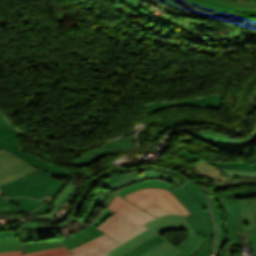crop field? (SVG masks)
<instances>
[{"label":"crop field","instance_id":"crop-field-1","mask_svg":"<svg viewBox=\"0 0 256 256\" xmlns=\"http://www.w3.org/2000/svg\"><path fill=\"white\" fill-rule=\"evenodd\" d=\"M148 169H150V171H148ZM139 170H143L144 174L139 176ZM103 177H108V180L104 182L101 186L104 187L109 192L105 193L101 189L95 192L94 202L92 201V206L82 219V221L84 222L87 221V219L90 217V215L93 213V211L96 209L98 205L107 208L116 195L115 193L111 192L116 191L117 189L125 185L148 178H158L166 180L176 186L190 180L171 169L151 166H140L130 169H124L120 168L119 165H117L114 168L109 169L108 172L100 174L91 180V182L88 185V189L75 204V212H73L72 214L73 217H77L84 203L83 201L93 191V189L97 186V184L101 181Z\"/></svg>","mask_w":256,"mask_h":256},{"label":"crop field","instance_id":"crop-field-2","mask_svg":"<svg viewBox=\"0 0 256 256\" xmlns=\"http://www.w3.org/2000/svg\"><path fill=\"white\" fill-rule=\"evenodd\" d=\"M256 196V189L239 190L224 193L219 197V203L227 212L228 240L233 245H241L244 240L253 242L256 254V201H239L236 198Z\"/></svg>","mask_w":256,"mask_h":256},{"label":"crop field","instance_id":"crop-field-3","mask_svg":"<svg viewBox=\"0 0 256 256\" xmlns=\"http://www.w3.org/2000/svg\"><path fill=\"white\" fill-rule=\"evenodd\" d=\"M108 208L116 212L97 228L120 243L145 229L142 225L154 219L118 196L115 197Z\"/></svg>","mask_w":256,"mask_h":256},{"label":"crop field","instance_id":"crop-field-4","mask_svg":"<svg viewBox=\"0 0 256 256\" xmlns=\"http://www.w3.org/2000/svg\"><path fill=\"white\" fill-rule=\"evenodd\" d=\"M126 199L153 216L167 214L190 215L186 208L169 192L162 189H143L127 195Z\"/></svg>","mask_w":256,"mask_h":256},{"label":"crop field","instance_id":"crop-field-5","mask_svg":"<svg viewBox=\"0 0 256 256\" xmlns=\"http://www.w3.org/2000/svg\"><path fill=\"white\" fill-rule=\"evenodd\" d=\"M15 231L23 245L24 253L64 245L53 226H40L24 222L23 227L17 228Z\"/></svg>","mask_w":256,"mask_h":256},{"label":"crop field","instance_id":"crop-field-6","mask_svg":"<svg viewBox=\"0 0 256 256\" xmlns=\"http://www.w3.org/2000/svg\"><path fill=\"white\" fill-rule=\"evenodd\" d=\"M68 182L59 181L54 178H50L44 182L31 186L29 188L23 189L21 191L6 195L5 197H12V196H28L36 199L43 198L47 195L51 196L48 202L38 209H36L32 213H28L29 215L35 214H45L49 212L52 207H50V203L53 201L55 196L61 191V189L67 184Z\"/></svg>","mask_w":256,"mask_h":256},{"label":"crop field","instance_id":"crop-field-7","mask_svg":"<svg viewBox=\"0 0 256 256\" xmlns=\"http://www.w3.org/2000/svg\"><path fill=\"white\" fill-rule=\"evenodd\" d=\"M169 191L187 208L191 214L209 210L204 192L191 180Z\"/></svg>","mask_w":256,"mask_h":256},{"label":"crop field","instance_id":"crop-field-8","mask_svg":"<svg viewBox=\"0 0 256 256\" xmlns=\"http://www.w3.org/2000/svg\"><path fill=\"white\" fill-rule=\"evenodd\" d=\"M191 6L210 13L251 14L256 12V0L251 4L236 3V0H185Z\"/></svg>","mask_w":256,"mask_h":256},{"label":"crop field","instance_id":"crop-field-9","mask_svg":"<svg viewBox=\"0 0 256 256\" xmlns=\"http://www.w3.org/2000/svg\"><path fill=\"white\" fill-rule=\"evenodd\" d=\"M0 148H3L5 150H8V151L14 153V155L26 160L31 165L47 172L48 174H50L52 176L63 177V178H72L73 177L71 172H67V171L60 169L52 164L45 163L42 160L23 152L18 147L16 141L0 138Z\"/></svg>","mask_w":256,"mask_h":256},{"label":"crop field","instance_id":"crop-field-10","mask_svg":"<svg viewBox=\"0 0 256 256\" xmlns=\"http://www.w3.org/2000/svg\"><path fill=\"white\" fill-rule=\"evenodd\" d=\"M196 233L205 235V243L202 248L193 256H208L212 254L213 227L209 211L186 216ZM185 218V219H186Z\"/></svg>","mask_w":256,"mask_h":256},{"label":"crop field","instance_id":"crop-field-11","mask_svg":"<svg viewBox=\"0 0 256 256\" xmlns=\"http://www.w3.org/2000/svg\"><path fill=\"white\" fill-rule=\"evenodd\" d=\"M117 244L119 243L103 234L70 250V253L73 256H106L104 254Z\"/></svg>","mask_w":256,"mask_h":256},{"label":"crop field","instance_id":"crop-field-12","mask_svg":"<svg viewBox=\"0 0 256 256\" xmlns=\"http://www.w3.org/2000/svg\"><path fill=\"white\" fill-rule=\"evenodd\" d=\"M148 229L155 231L157 233H164L169 230H184L193 232L192 227L189 222L182 215H168L160 218H156L153 221H150L144 224Z\"/></svg>","mask_w":256,"mask_h":256},{"label":"crop field","instance_id":"crop-field-13","mask_svg":"<svg viewBox=\"0 0 256 256\" xmlns=\"http://www.w3.org/2000/svg\"><path fill=\"white\" fill-rule=\"evenodd\" d=\"M32 167L3 149L0 150V180Z\"/></svg>","mask_w":256,"mask_h":256},{"label":"crop field","instance_id":"crop-field-14","mask_svg":"<svg viewBox=\"0 0 256 256\" xmlns=\"http://www.w3.org/2000/svg\"><path fill=\"white\" fill-rule=\"evenodd\" d=\"M192 172L196 175V177H203L205 179L214 181V191L219 190L221 186L226 182L227 176H225L220 170H218L215 166L209 165L203 160L193 164Z\"/></svg>","mask_w":256,"mask_h":256},{"label":"crop field","instance_id":"crop-field-15","mask_svg":"<svg viewBox=\"0 0 256 256\" xmlns=\"http://www.w3.org/2000/svg\"><path fill=\"white\" fill-rule=\"evenodd\" d=\"M50 177H52V176L39 170L34 174H30V175L20 178L16 181H13L6 185L0 186V190L4 195H6L9 193L21 190L23 188H26L28 186L34 185L36 183H39L41 181H44Z\"/></svg>","mask_w":256,"mask_h":256},{"label":"crop field","instance_id":"crop-field-16","mask_svg":"<svg viewBox=\"0 0 256 256\" xmlns=\"http://www.w3.org/2000/svg\"><path fill=\"white\" fill-rule=\"evenodd\" d=\"M47 199L48 198L43 200H32L23 197L7 199L9 202L0 203V212H28L43 204Z\"/></svg>","mask_w":256,"mask_h":256},{"label":"crop field","instance_id":"crop-field-17","mask_svg":"<svg viewBox=\"0 0 256 256\" xmlns=\"http://www.w3.org/2000/svg\"><path fill=\"white\" fill-rule=\"evenodd\" d=\"M158 234L146 229L139 233L138 235L134 236L130 240L123 243L121 246L115 248L114 250L106 253L109 256H123L124 254L128 253L129 251L133 250L134 248L140 246L141 244L145 243L146 241L152 239L153 237L157 236ZM141 241V243H139Z\"/></svg>","mask_w":256,"mask_h":256},{"label":"crop field","instance_id":"crop-field-18","mask_svg":"<svg viewBox=\"0 0 256 256\" xmlns=\"http://www.w3.org/2000/svg\"><path fill=\"white\" fill-rule=\"evenodd\" d=\"M204 236L188 233L185 240L175 246L181 251L172 256H191L195 254L203 245Z\"/></svg>","mask_w":256,"mask_h":256},{"label":"crop field","instance_id":"crop-field-19","mask_svg":"<svg viewBox=\"0 0 256 256\" xmlns=\"http://www.w3.org/2000/svg\"><path fill=\"white\" fill-rule=\"evenodd\" d=\"M77 185L68 183L63 190L56 196L51 206L53 209L45 215H36L35 219H50L56 216V212L61 210L64 204L67 202L71 194L75 191Z\"/></svg>","mask_w":256,"mask_h":256},{"label":"crop field","instance_id":"crop-field-20","mask_svg":"<svg viewBox=\"0 0 256 256\" xmlns=\"http://www.w3.org/2000/svg\"><path fill=\"white\" fill-rule=\"evenodd\" d=\"M103 234L102 232L96 230L95 228L88 227L72 236H69L65 239H63L64 244L67 246L68 250L86 242L89 241L99 235Z\"/></svg>","mask_w":256,"mask_h":256},{"label":"crop field","instance_id":"crop-field-21","mask_svg":"<svg viewBox=\"0 0 256 256\" xmlns=\"http://www.w3.org/2000/svg\"><path fill=\"white\" fill-rule=\"evenodd\" d=\"M197 180H199V179H197ZM199 181L206 185L207 190L209 192V188L207 186V182L206 181H202V180H199ZM209 195H210V192H209ZM210 202H211V205H212L215 217L217 219V224H218V245H217V255H218L220 250H221V248H222V246L225 244L227 238H226V236H225V234L223 232V215H222V212L218 208L216 202L212 199L211 195H210Z\"/></svg>","mask_w":256,"mask_h":256},{"label":"crop field","instance_id":"crop-field-22","mask_svg":"<svg viewBox=\"0 0 256 256\" xmlns=\"http://www.w3.org/2000/svg\"><path fill=\"white\" fill-rule=\"evenodd\" d=\"M54 227L62 239L85 227H88V225L78 219L70 217L69 220L66 221V223Z\"/></svg>","mask_w":256,"mask_h":256},{"label":"crop field","instance_id":"crop-field-23","mask_svg":"<svg viewBox=\"0 0 256 256\" xmlns=\"http://www.w3.org/2000/svg\"><path fill=\"white\" fill-rule=\"evenodd\" d=\"M180 250L176 249L171 243L167 240L160 245L154 247L148 252L142 254L141 256H170Z\"/></svg>","mask_w":256,"mask_h":256},{"label":"crop field","instance_id":"crop-field-24","mask_svg":"<svg viewBox=\"0 0 256 256\" xmlns=\"http://www.w3.org/2000/svg\"><path fill=\"white\" fill-rule=\"evenodd\" d=\"M163 241H165V239L158 235L157 237L146 242L145 244L141 245L140 247L134 249L133 251L129 252L128 254H126L124 256H139L142 253L146 252L147 250L153 248L154 246L158 245L159 243H161Z\"/></svg>","mask_w":256,"mask_h":256},{"label":"crop field","instance_id":"crop-field-25","mask_svg":"<svg viewBox=\"0 0 256 256\" xmlns=\"http://www.w3.org/2000/svg\"><path fill=\"white\" fill-rule=\"evenodd\" d=\"M19 256H71L70 253L67 251L66 247H58L48 250H43L31 254H23Z\"/></svg>","mask_w":256,"mask_h":256},{"label":"crop field","instance_id":"crop-field-26","mask_svg":"<svg viewBox=\"0 0 256 256\" xmlns=\"http://www.w3.org/2000/svg\"><path fill=\"white\" fill-rule=\"evenodd\" d=\"M134 10L138 11V12L141 13L142 15H144V16H146V17H148V18H150V19H152V20H154V21H157V22H159V23H163V24L170 25V24H168L169 21H170V22L172 21L173 23L175 22L174 20L167 19V18H165V17H163V16H159V15H157V14L151 12V9L148 8L147 6H145L144 4L141 5V6H139V7H137V8L134 9ZM172 25H173V24H172ZM172 25H171V26H172Z\"/></svg>","mask_w":256,"mask_h":256},{"label":"crop field","instance_id":"crop-field-27","mask_svg":"<svg viewBox=\"0 0 256 256\" xmlns=\"http://www.w3.org/2000/svg\"><path fill=\"white\" fill-rule=\"evenodd\" d=\"M221 167L228 169H238V170H247V171H256V169L250 164V162H235V163H218L212 162Z\"/></svg>","mask_w":256,"mask_h":256},{"label":"crop field","instance_id":"crop-field-28","mask_svg":"<svg viewBox=\"0 0 256 256\" xmlns=\"http://www.w3.org/2000/svg\"><path fill=\"white\" fill-rule=\"evenodd\" d=\"M22 133L16 131L14 128L0 127V137L16 140L18 145V138Z\"/></svg>","mask_w":256,"mask_h":256},{"label":"crop field","instance_id":"crop-field-29","mask_svg":"<svg viewBox=\"0 0 256 256\" xmlns=\"http://www.w3.org/2000/svg\"><path fill=\"white\" fill-rule=\"evenodd\" d=\"M219 168V167H217ZM224 174L228 177L239 178V176L245 177H256V172H247V171H237V170H227L224 168H219Z\"/></svg>","mask_w":256,"mask_h":256},{"label":"crop field","instance_id":"crop-field-30","mask_svg":"<svg viewBox=\"0 0 256 256\" xmlns=\"http://www.w3.org/2000/svg\"><path fill=\"white\" fill-rule=\"evenodd\" d=\"M37 170H39V169L32 167V168H30V169H28V170H25V171H23V172H21V173H19V174H16V175H14V176H12V177H9V178H7V179L1 180V181H0V185L6 184V183H8V182H11V181H13V180H15V179H18V178H20V177H23V176H25V175H28V174H30V173H33V172H35V171H37Z\"/></svg>","mask_w":256,"mask_h":256},{"label":"crop field","instance_id":"crop-field-31","mask_svg":"<svg viewBox=\"0 0 256 256\" xmlns=\"http://www.w3.org/2000/svg\"><path fill=\"white\" fill-rule=\"evenodd\" d=\"M177 156H179V157H181V158H183V159H185V160H187V161H189L191 163H193L194 161H196L198 159H201L200 157H198V156H196V155H194V154H192V153H190V152H188V151H186L184 149H182L177 154Z\"/></svg>","mask_w":256,"mask_h":256},{"label":"crop field","instance_id":"crop-field-32","mask_svg":"<svg viewBox=\"0 0 256 256\" xmlns=\"http://www.w3.org/2000/svg\"><path fill=\"white\" fill-rule=\"evenodd\" d=\"M113 213L114 211L110 209H105L104 212L99 216V218L94 222L92 226L96 228L99 224H101L105 219H107Z\"/></svg>","mask_w":256,"mask_h":256},{"label":"crop field","instance_id":"crop-field-33","mask_svg":"<svg viewBox=\"0 0 256 256\" xmlns=\"http://www.w3.org/2000/svg\"><path fill=\"white\" fill-rule=\"evenodd\" d=\"M112 1V0H111ZM126 7H128L130 10L136 8L137 6L143 4L139 0H120Z\"/></svg>","mask_w":256,"mask_h":256},{"label":"crop field","instance_id":"crop-field-34","mask_svg":"<svg viewBox=\"0 0 256 256\" xmlns=\"http://www.w3.org/2000/svg\"><path fill=\"white\" fill-rule=\"evenodd\" d=\"M0 244H20L17 237H3L0 238Z\"/></svg>","mask_w":256,"mask_h":256},{"label":"crop field","instance_id":"crop-field-35","mask_svg":"<svg viewBox=\"0 0 256 256\" xmlns=\"http://www.w3.org/2000/svg\"><path fill=\"white\" fill-rule=\"evenodd\" d=\"M11 250H23L21 245H0V252Z\"/></svg>","mask_w":256,"mask_h":256},{"label":"crop field","instance_id":"crop-field-36","mask_svg":"<svg viewBox=\"0 0 256 256\" xmlns=\"http://www.w3.org/2000/svg\"><path fill=\"white\" fill-rule=\"evenodd\" d=\"M241 184H245V183H242L240 181V179L229 178L227 180V182L225 183V185L223 184L224 186L221 187V188H224V187H227V186H236V185H241Z\"/></svg>","mask_w":256,"mask_h":256},{"label":"crop field","instance_id":"crop-field-37","mask_svg":"<svg viewBox=\"0 0 256 256\" xmlns=\"http://www.w3.org/2000/svg\"><path fill=\"white\" fill-rule=\"evenodd\" d=\"M232 246V245H231ZM230 244H227V247L225 250H222L219 256H232L233 253V247H231Z\"/></svg>","mask_w":256,"mask_h":256},{"label":"crop field","instance_id":"crop-field-38","mask_svg":"<svg viewBox=\"0 0 256 256\" xmlns=\"http://www.w3.org/2000/svg\"><path fill=\"white\" fill-rule=\"evenodd\" d=\"M87 178H88V177H87ZM85 181H86V180H85ZM85 181H84V183H85ZM84 183L81 185V187L78 189V191L76 192V194L73 196V198H72L71 201L69 202L70 207H69L67 213L64 214V217H66V215H67L68 213H70L71 205H72V203L74 202V200L78 197V195H79V193H80V191H81V189H82ZM66 208H67V207H66Z\"/></svg>","mask_w":256,"mask_h":256},{"label":"crop field","instance_id":"crop-field-39","mask_svg":"<svg viewBox=\"0 0 256 256\" xmlns=\"http://www.w3.org/2000/svg\"><path fill=\"white\" fill-rule=\"evenodd\" d=\"M163 2H164L166 5H168V6L172 7V8H174V9H177V10H179V11L182 9V7H180L179 5H177L176 3H174L172 0H163Z\"/></svg>","mask_w":256,"mask_h":256},{"label":"crop field","instance_id":"crop-field-40","mask_svg":"<svg viewBox=\"0 0 256 256\" xmlns=\"http://www.w3.org/2000/svg\"><path fill=\"white\" fill-rule=\"evenodd\" d=\"M23 251H11V252H3L0 253V256H12V255H18L22 254Z\"/></svg>","mask_w":256,"mask_h":256},{"label":"crop field","instance_id":"crop-field-41","mask_svg":"<svg viewBox=\"0 0 256 256\" xmlns=\"http://www.w3.org/2000/svg\"><path fill=\"white\" fill-rule=\"evenodd\" d=\"M0 126L11 127L1 115H0Z\"/></svg>","mask_w":256,"mask_h":256},{"label":"crop field","instance_id":"crop-field-42","mask_svg":"<svg viewBox=\"0 0 256 256\" xmlns=\"http://www.w3.org/2000/svg\"><path fill=\"white\" fill-rule=\"evenodd\" d=\"M59 221H62V219H60V218H57V219L51 220V221H49V222H46V223H51V222H59Z\"/></svg>","mask_w":256,"mask_h":256},{"label":"crop field","instance_id":"crop-field-43","mask_svg":"<svg viewBox=\"0 0 256 256\" xmlns=\"http://www.w3.org/2000/svg\"><path fill=\"white\" fill-rule=\"evenodd\" d=\"M237 2L250 3V0H237Z\"/></svg>","mask_w":256,"mask_h":256},{"label":"crop field","instance_id":"crop-field-44","mask_svg":"<svg viewBox=\"0 0 256 256\" xmlns=\"http://www.w3.org/2000/svg\"><path fill=\"white\" fill-rule=\"evenodd\" d=\"M0 202H7V200H5L3 196H0Z\"/></svg>","mask_w":256,"mask_h":256},{"label":"crop field","instance_id":"crop-field-45","mask_svg":"<svg viewBox=\"0 0 256 256\" xmlns=\"http://www.w3.org/2000/svg\"><path fill=\"white\" fill-rule=\"evenodd\" d=\"M252 165L256 168V163H253Z\"/></svg>","mask_w":256,"mask_h":256},{"label":"crop field","instance_id":"crop-field-46","mask_svg":"<svg viewBox=\"0 0 256 256\" xmlns=\"http://www.w3.org/2000/svg\"><path fill=\"white\" fill-rule=\"evenodd\" d=\"M1 195V194H0Z\"/></svg>","mask_w":256,"mask_h":256}]
</instances>
